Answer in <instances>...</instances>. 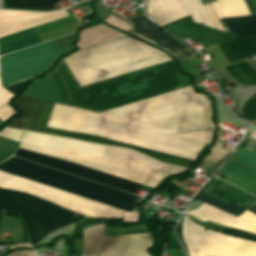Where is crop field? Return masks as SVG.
I'll return each mask as SVG.
<instances>
[{"label":"crop field","mask_w":256,"mask_h":256,"mask_svg":"<svg viewBox=\"0 0 256 256\" xmlns=\"http://www.w3.org/2000/svg\"><path fill=\"white\" fill-rule=\"evenodd\" d=\"M101 114L173 131L213 128L211 104L192 87L180 89ZM55 104L51 121L106 130L119 135L198 154L212 139L214 129L182 134Z\"/></svg>","instance_id":"obj_1"},{"label":"crop field","mask_w":256,"mask_h":256,"mask_svg":"<svg viewBox=\"0 0 256 256\" xmlns=\"http://www.w3.org/2000/svg\"><path fill=\"white\" fill-rule=\"evenodd\" d=\"M0 172L70 193L123 211L137 212L141 198L11 157L0 162ZM0 173V187L37 195L90 218H121L120 210ZM30 194V195H31Z\"/></svg>","instance_id":"obj_2"},{"label":"crop field","mask_w":256,"mask_h":256,"mask_svg":"<svg viewBox=\"0 0 256 256\" xmlns=\"http://www.w3.org/2000/svg\"><path fill=\"white\" fill-rule=\"evenodd\" d=\"M63 104L95 112L129 104L178 89L173 61L80 88L61 61L51 74Z\"/></svg>","instance_id":"obj_3"},{"label":"crop field","mask_w":256,"mask_h":256,"mask_svg":"<svg viewBox=\"0 0 256 256\" xmlns=\"http://www.w3.org/2000/svg\"><path fill=\"white\" fill-rule=\"evenodd\" d=\"M63 60L82 86L171 59L154 48L126 37L80 50Z\"/></svg>","instance_id":"obj_4"},{"label":"crop field","mask_w":256,"mask_h":256,"mask_svg":"<svg viewBox=\"0 0 256 256\" xmlns=\"http://www.w3.org/2000/svg\"><path fill=\"white\" fill-rule=\"evenodd\" d=\"M53 105L54 104H51V103L39 102L30 97L21 96L18 101V106H19V108L22 112V116H23V122H24L23 128L27 129V130H32V131L43 133ZM47 126L57 128V129H65V130L82 132V133L95 135V136H101V137H105V138L112 139L115 141H120V142H124V143H128V144H132V145H136V146H140V147H144V148H148V149H152V150H156V151L192 159V160H194L196 157L195 154H191V153H187V152H183V151H179V150H175V149H171V148H167V147H163V146H159V145H155V144H151V143H147V142H143V141H139V140L123 137V136H119L116 134H112V133L97 130V129L60 124V123H55V122H51V121L48 122ZM48 127H46V130L44 133L61 135V136H66V137H71V138H76V139H81V140H87V141H92V142L104 143V144L118 146V147H129L131 149L145 153L161 162L168 163V164H177V165L183 166L188 169L191 166V164L193 163L192 160L183 159V158H179V157H175V156H171V155H167V154H163V153H159V152H155V151H151V150H147V149H143V148H139V147H135V146L119 143V142H115V141L108 140V139L101 138V137H95V136H90V135L71 132V131L56 130V129L48 128Z\"/></svg>","instance_id":"obj_5"},{"label":"crop field","mask_w":256,"mask_h":256,"mask_svg":"<svg viewBox=\"0 0 256 256\" xmlns=\"http://www.w3.org/2000/svg\"><path fill=\"white\" fill-rule=\"evenodd\" d=\"M3 211L19 214L24 219L32 245L48 233L85 218L37 196L0 189V219Z\"/></svg>","instance_id":"obj_6"},{"label":"crop field","mask_w":256,"mask_h":256,"mask_svg":"<svg viewBox=\"0 0 256 256\" xmlns=\"http://www.w3.org/2000/svg\"><path fill=\"white\" fill-rule=\"evenodd\" d=\"M21 143L128 162L164 178L185 169L166 165L126 148L110 147L23 131Z\"/></svg>","instance_id":"obj_7"},{"label":"crop field","mask_w":256,"mask_h":256,"mask_svg":"<svg viewBox=\"0 0 256 256\" xmlns=\"http://www.w3.org/2000/svg\"><path fill=\"white\" fill-rule=\"evenodd\" d=\"M182 237L190 256H256V243L204 231L186 215L182 221Z\"/></svg>","instance_id":"obj_8"},{"label":"crop field","mask_w":256,"mask_h":256,"mask_svg":"<svg viewBox=\"0 0 256 256\" xmlns=\"http://www.w3.org/2000/svg\"><path fill=\"white\" fill-rule=\"evenodd\" d=\"M83 231L82 256H149L145 252L151 245L147 233L103 237V224L86 227Z\"/></svg>","instance_id":"obj_9"},{"label":"crop field","mask_w":256,"mask_h":256,"mask_svg":"<svg viewBox=\"0 0 256 256\" xmlns=\"http://www.w3.org/2000/svg\"><path fill=\"white\" fill-rule=\"evenodd\" d=\"M51 41L0 58L3 85L48 71L51 59L58 54Z\"/></svg>","instance_id":"obj_10"},{"label":"crop field","mask_w":256,"mask_h":256,"mask_svg":"<svg viewBox=\"0 0 256 256\" xmlns=\"http://www.w3.org/2000/svg\"><path fill=\"white\" fill-rule=\"evenodd\" d=\"M20 148L80 164L92 169H96L105 173H109L144 185H148L153 188L162 179V177H159L155 174H152L124 162L101 159L23 144L20 145Z\"/></svg>","instance_id":"obj_11"},{"label":"crop field","mask_w":256,"mask_h":256,"mask_svg":"<svg viewBox=\"0 0 256 256\" xmlns=\"http://www.w3.org/2000/svg\"><path fill=\"white\" fill-rule=\"evenodd\" d=\"M15 156L28 159L52 168H56L80 177H84L108 186H112L130 193L135 194L141 185L126 181L108 174H104L86 167H82L70 162L55 159L38 153L30 152L23 149H18Z\"/></svg>","instance_id":"obj_12"},{"label":"crop field","mask_w":256,"mask_h":256,"mask_svg":"<svg viewBox=\"0 0 256 256\" xmlns=\"http://www.w3.org/2000/svg\"><path fill=\"white\" fill-rule=\"evenodd\" d=\"M218 18L250 15L243 0H218L211 3ZM225 32L234 35L256 34V16L219 19Z\"/></svg>","instance_id":"obj_13"},{"label":"crop field","mask_w":256,"mask_h":256,"mask_svg":"<svg viewBox=\"0 0 256 256\" xmlns=\"http://www.w3.org/2000/svg\"><path fill=\"white\" fill-rule=\"evenodd\" d=\"M66 16L69 14L65 10L54 13L0 11V38Z\"/></svg>","instance_id":"obj_14"},{"label":"crop field","mask_w":256,"mask_h":256,"mask_svg":"<svg viewBox=\"0 0 256 256\" xmlns=\"http://www.w3.org/2000/svg\"><path fill=\"white\" fill-rule=\"evenodd\" d=\"M128 23L134 29L132 34L135 36L171 52L176 58H192L191 53L187 49L167 35L154 29L141 16L128 20Z\"/></svg>","instance_id":"obj_15"},{"label":"crop field","mask_w":256,"mask_h":256,"mask_svg":"<svg viewBox=\"0 0 256 256\" xmlns=\"http://www.w3.org/2000/svg\"><path fill=\"white\" fill-rule=\"evenodd\" d=\"M204 220L256 234V216L245 212L238 218L203 203L198 209L188 212Z\"/></svg>","instance_id":"obj_16"},{"label":"crop field","mask_w":256,"mask_h":256,"mask_svg":"<svg viewBox=\"0 0 256 256\" xmlns=\"http://www.w3.org/2000/svg\"><path fill=\"white\" fill-rule=\"evenodd\" d=\"M162 27L181 39L191 36L193 38L205 41L211 45L234 36L195 23L192 21L190 16L164 25Z\"/></svg>","instance_id":"obj_17"},{"label":"crop field","mask_w":256,"mask_h":256,"mask_svg":"<svg viewBox=\"0 0 256 256\" xmlns=\"http://www.w3.org/2000/svg\"><path fill=\"white\" fill-rule=\"evenodd\" d=\"M78 29V22L71 24V25H67L49 32H45L42 34H39V37L41 39V41H46L61 35H65L74 31H77ZM36 35V32L34 30V28L17 33V34H13L4 38L0 39V46L17 41V40H21L30 36ZM40 43V40L38 38V36H33L18 42H14L5 46L0 47V55L18 50V49H22L34 44Z\"/></svg>","instance_id":"obj_18"},{"label":"crop field","mask_w":256,"mask_h":256,"mask_svg":"<svg viewBox=\"0 0 256 256\" xmlns=\"http://www.w3.org/2000/svg\"><path fill=\"white\" fill-rule=\"evenodd\" d=\"M148 13L160 25L188 15L181 0H149Z\"/></svg>","instance_id":"obj_19"},{"label":"crop field","mask_w":256,"mask_h":256,"mask_svg":"<svg viewBox=\"0 0 256 256\" xmlns=\"http://www.w3.org/2000/svg\"><path fill=\"white\" fill-rule=\"evenodd\" d=\"M229 64L256 54V35L235 37L218 43Z\"/></svg>","instance_id":"obj_20"},{"label":"crop field","mask_w":256,"mask_h":256,"mask_svg":"<svg viewBox=\"0 0 256 256\" xmlns=\"http://www.w3.org/2000/svg\"><path fill=\"white\" fill-rule=\"evenodd\" d=\"M125 36L118 33L106 26L100 25L92 28H88L83 34H81V39L78 43L80 49L86 48L92 45H96L102 42H106L112 39Z\"/></svg>","instance_id":"obj_21"},{"label":"crop field","mask_w":256,"mask_h":256,"mask_svg":"<svg viewBox=\"0 0 256 256\" xmlns=\"http://www.w3.org/2000/svg\"><path fill=\"white\" fill-rule=\"evenodd\" d=\"M57 1L61 0H3L4 9L30 11H53Z\"/></svg>","instance_id":"obj_22"},{"label":"crop field","mask_w":256,"mask_h":256,"mask_svg":"<svg viewBox=\"0 0 256 256\" xmlns=\"http://www.w3.org/2000/svg\"><path fill=\"white\" fill-rule=\"evenodd\" d=\"M242 85H256V70L245 60L224 67Z\"/></svg>","instance_id":"obj_23"},{"label":"crop field","mask_w":256,"mask_h":256,"mask_svg":"<svg viewBox=\"0 0 256 256\" xmlns=\"http://www.w3.org/2000/svg\"><path fill=\"white\" fill-rule=\"evenodd\" d=\"M213 190L219 192L220 194L226 196L227 198L231 199L232 201L238 203L245 208L256 201V198L236 189L235 187L225 182L221 183Z\"/></svg>","instance_id":"obj_24"},{"label":"crop field","mask_w":256,"mask_h":256,"mask_svg":"<svg viewBox=\"0 0 256 256\" xmlns=\"http://www.w3.org/2000/svg\"><path fill=\"white\" fill-rule=\"evenodd\" d=\"M198 200L202 201V202H205L211 206H214L218 209H221L227 213H230L236 217H238L239 215H241L243 212H245L246 210L242 209L241 207L235 205L234 203L232 202H228V204H224L206 194H201L198 198Z\"/></svg>","instance_id":"obj_25"},{"label":"crop field","mask_w":256,"mask_h":256,"mask_svg":"<svg viewBox=\"0 0 256 256\" xmlns=\"http://www.w3.org/2000/svg\"><path fill=\"white\" fill-rule=\"evenodd\" d=\"M15 95L5 90L1 86L0 81V119L4 122L7 119L11 118L15 114H17L7 103L13 98ZM5 123V122H4Z\"/></svg>","instance_id":"obj_26"},{"label":"crop field","mask_w":256,"mask_h":256,"mask_svg":"<svg viewBox=\"0 0 256 256\" xmlns=\"http://www.w3.org/2000/svg\"><path fill=\"white\" fill-rule=\"evenodd\" d=\"M19 143L11 140L0 138V161L8 158L11 154H13Z\"/></svg>","instance_id":"obj_27"},{"label":"crop field","mask_w":256,"mask_h":256,"mask_svg":"<svg viewBox=\"0 0 256 256\" xmlns=\"http://www.w3.org/2000/svg\"><path fill=\"white\" fill-rule=\"evenodd\" d=\"M242 116L245 120L256 118V94L244 103L242 107Z\"/></svg>","instance_id":"obj_28"},{"label":"crop field","mask_w":256,"mask_h":256,"mask_svg":"<svg viewBox=\"0 0 256 256\" xmlns=\"http://www.w3.org/2000/svg\"><path fill=\"white\" fill-rule=\"evenodd\" d=\"M222 144L218 143L215 145V147L211 150V155L206 157L205 160L214 163V164H218L227 154L231 153V149L233 147H231L228 151L222 149Z\"/></svg>","instance_id":"obj_29"},{"label":"crop field","mask_w":256,"mask_h":256,"mask_svg":"<svg viewBox=\"0 0 256 256\" xmlns=\"http://www.w3.org/2000/svg\"><path fill=\"white\" fill-rule=\"evenodd\" d=\"M233 158L244 161L256 167V153L243 149L233 155Z\"/></svg>","instance_id":"obj_30"},{"label":"crop field","mask_w":256,"mask_h":256,"mask_svg":"<svg viewBox=\"0 0 256 256\" xmlns=\"http://www.w3.org/2000/svg\"><path fill=\"white\" fill-rule=\"evenodd\" d=\"M21 131L7 128L0 132V137L15 140L19 142Z\"/></svg>","instance_id":"obj_31"},{"label":"crop field","mask_w":256,"mask_h":256,"mask_svg":"<svg viewBox=\"0 0 256 256\" xmlns=\"http://www.w3.org/2000/svg\"><path fill=\"white\" fill-rule=\"evenodd\" d=\"M105 22L110 24V25H113L115 27L121 28L125 31L131 29L130 26L127 24V22H125V21H123L119 18H116L112 15Z\"/></svg>","instance_id":"obj_32"},{"label":"crop field","mask_w":256,"mask_h":256,"mask_svg":"<svg viewBox=\"0 0 256 256\" xmlns=\"http://www.w3.org/2000/svg\"><path fill=\"white\" fill-rule=\"evenodd\" d=\"M204 7H205L207 13L209 14L211 20L213 21V23H214L216 29L221 30V31H224L223 28H222V26H221V24H220V22H219V20H218V18H217L216 15H215V13H214V11H213V9H212L210 3L204 4Z\"/></svg>","instance_id":"obj_33"},{"label":"crop field","mask_w":256,"mask_h":256,"mask_svg":"<svg viewBox=\"0 0 256 256\" xmlns=\"http://www.w3.org/2000/svg\"><path fill=\"white\" fill-rule=\"evenodd\" d=\"M199 167L203 171V173L208 174L215 167V165L208 163L206 161H203Z\"/></svg>","instance_id":"obj_34"},{"label":"crop field","mask_w":256,"mask_h":256,"mask_svg":"<svg viewBox=\"0 0 256 256\" xmlns=\"http://www.w3.org/2000/svg\"><path fill=\"white\" fill-rule=\"evenodd\" d=\"M138 213H124L123 222H136Z\"/></svg>","instance_id":"obj_35"},{"label":"crop field","mask_w":256,"mask_h":256,"mask_svg":"<svg viewBox=\"0 0 256 256\" xmlns=\"http://www.w3.org/2000/svg\"><path fill=\"white\" fill-rule=\"evenodd\" d=\"M8 256H37L36 253L32 251H15Z\"/></svg>","instance_id":"obj_36"},{"label":"crop field","mask_w":256,"mask_h":256,"mask_svg":"<svg viewBox=\"0 0 256 256\" xmlns=\"http://www.w3.org/2000/svg\"><path fill=\"white\" fill-rule=\"evenodd\" d=\"M251 14H256V0H253V6H254V12H253V6H252V0H245Z\"/></svg>","instance_id":"obj_37"},{"label":"crop field","mask_w":256,"mask_h":256,"mask_svg":"<svg viewBox=\"0 0 256 256\" xmlns=\"http://www.w3.org/2000/svg\"><path fill=\"white\" fill-rule=\"evenodd\" d=\"M8 126L21 129V126H22L21 118L13 120Z\"/></svg>","instance_id":"obj_38"},{"label":"crop field","mask_w":256,"mask_h":256,"mask_svg":"<svg viewBox=\"0 0 256 256\" xmlns=\"http://www.w3.org/2000/svg\"><path fill=\"white\" fill-rule=\"evenodd\" d=\"M246 210L256 214V203L253 204L252 206L248 207Z\"/></svg>","instance_id":"obj_39"},{"label":"crop field","mask_w":256,"mask_h":256,"mask_svg":"<svg viewBox=\"0 0 256 256\" xmlns=\"http://www.w3.org/2000/svg\"><path fill=\"white\" fill-rule=\"evenodd\" d=\"M30 247L27 244L11 245L10 248Z\"/></svg>","instance_id":"obj_40"},{"label":"crop field","mask_w":256,"mask_h":256,"mask_svg":"<svg viewBox=\"0 0 256 256\" xmlns=\"http://www.w3.org/2000/svg\"><path fill=\"white\" fill-rule=\"evenodd\" d=\"M250 137L256 140V130L254 131V133Z\"/></svg>","instance_id":"obj_41"},{"label":"crop field","mask_w":256,"mask_h":256,"mask_svg":"<svg viewBox=\"0 0 256 256\" xmlns=\"http://www.w3.org/2000/svg\"><path fill=\"white\" fill-rule=\"evenodd\" d=\"M3 122L2 121H0V124H2Z\"/></svg>","instance_id":"obj_42"}]
</instances>
